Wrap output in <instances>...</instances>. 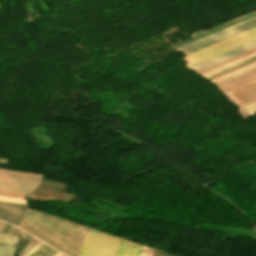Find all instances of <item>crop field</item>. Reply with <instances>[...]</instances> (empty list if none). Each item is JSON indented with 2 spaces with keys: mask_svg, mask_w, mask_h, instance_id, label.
Segmentation results:
<instances>
[{
  "mask_svg": "<svg viewBox=\"0 0 256 256\" xmlns=\"http://www.w3.org/2000/svg\"><path fill=\"white\" fill-rule=\"evenodd\" d=\"M20 228L69 256H77L89 230L30 210L27 211Z\"/></svg>",
  "mask_w": 256,
  "mask_h": 256,
  "instance_id": "8a807250",
  "label": "crop field"
},
{
  "mask_svg": "<svg viewBox=\"0 0 256 256\" xmlns=\"http://www.w3.org/2000/svg\"><path fill=\"white\" fill-rule=\"evenodd\" d=\"M121 239L91 230L78 256H114Z\"/></svg>",
  "mask_w": 256,
  "mask_h": 256,
  "instance_id": "ac0d7876",
  "label": "crop field"
},
{
  "mask_svg": "<svg viewBox=\"0 0 256 256\" xmlns=\"http://www.w3.org/2000/svg\"><path fill=\"white\" fill-rule=\"evenodd\" d=\"M256 26V16L249 18L247 20H244L240 23H237L235 25H232L230 27H227L223 30H220L218 32H215L211 35H208L204 38H201L197 41H194L192 43H189L187 45H184L180 48H177L176 50H179L186 55L195 52L199 49H202L204 47H207L211 44H214L216 42H219L221 40H224L226 38H229L233 35H236L238 33H241L243 31H246L248 29H251Z\"/></svg>",
  "mask_w": 256,
  "mask_h": 256,
  "instance_id": "34b2d1b8",
  "label": "crop field"
},
{
  "mask_svg": "<svg viewBox=\"0 0 256 256\" xmlns=\"http://www.w3.org/2000/svg\"><path fill=\"white\" fill-rule=\"evenodd\" d=\"M41 181V175L0 169V188L31 193Z\"/></svg>",
  "mask_w": 256,
  "mask_h": 256,
  "instance_id": "412701ff",
  "label": "crop field"
},
{
  "mask_svg": "<svg viewBox=\"0 0 256 256\" xmlns=\"http://www.w3.org/2000/svg\"><path fill=\"white\" fill-rule=\"evenodd\" d=\"M250 115L256 113V81L227 92Z\"/></svg>",
  "mask_w": 256,
  "mask_h": 256,
  "instance_id": "f4fd0767",
  "label": "crop field"
},
{
  "mask_svg": "<svg viewBox=\"0 0 256 256\" xmlns=\"http://www.w3.org/2000/svg\"><path fill=\"white\" fill-rule=\"evenodd\" d=\"M255 34H256V28H253V29L248 30V31H246V32H244V33H241V34L236 35V36H234V37H231V38H229V39H227V40H224V41L219 42V43H217V44H214V45H212V46H210V47H207V48L202 49V50H200V51H197V52H195V53H193V54H190V55L184 57V59H185L186 61H191V60H193V59H196V58H198V57H201V56H203V55H206V54H208V53H211V52H213V51H215V50H218V49H220V48H223V47H225V46H228V45H230V44H233V43H235V42H238V41H240V40H243V39H245V38H248V37H250V36H253V35H255Z\"/></svg>",
  "mask_w": 256,
  "mask_h": 256,
  "instance_id": "dd49c442",
  "label": "crop field"
},
{
  "mask_svg": "<svg viewBox=\"0 0 256 256\" xmlns=\"http://www.w3.org/2000/svg\"><path fill=\"white\" fill-rule=\"evenodd\" d=\"M26 207L0 203V219L18 226Z\"/></svg>",
  "mask_w": 256,
  "mask_h": 256,
  "instance_id": "e52e79f7",
  "label": "crop field"
},
{
  "mask_svg": "<svg viewBox=\"0 0 256 256\" xmlns=\"http://www.w3.org/2000/svg\"><path fill=\"white\" fill-rule=\"evenodd\" d=\"M255 46H256V41L253 42V43H250V44H248V45H246V46H243V47H241V48H238V49H236V50H233V51H231V52H228V53H226V54H223V55H221V56H218V57H216V58H213V59H211V60H208V61H206V62H203V63H201V64H198V65H196V66H193V67H191V68H192L193 70L197 71V70H199V69H202V68H204V67H206V66H209V65H211V64H214V63H216V62H219V61H221V60H223V59H226V58H228V57H231V56H233V55H236V54H238V53H240V52H243V51L248 50V49H250V48H253V47H255Z\"/></svg>",
  "mask_w": 256,
  "mask_h": 256,
  "instance_id": "d8731c3e",
  "label": "crop field"
},
{
  "mask_svg": "<svg viewBox=\"0 0 256 256\" xmlns=\"http://www.w3.org/2000/svg\"><path fill=\"white\" fill-rule=\"evenodd\" d=\"M255 40H256V36H253V37L248 38V39H246V40H244V41H241V42H239V43H236V44H234V45H231V46H229V47H226V48H224V49H222V50H219V51H217V52H214V53H212V54H209V55H207V56H204V57H202V58H200V59H197V60L192 61V62H190V63H186V65H188L189 67H191V66L196 65V64H198V63H201V62H203V61H206V60H208V59H211V58H213V57H216V56H218V55H221V54H223V53H226V52H228V51H231V50H233V49H236V48H238V47H241V46H243V45H246V44H248V43H250V42H253V41H255Z\"/></svg>",
  "mask_w": 256,
  "mask_h": 256,
  "instance_id": "5a996713",
  "label": "crop field"
},
{
  "mask_svg": "<svg viewBox=\"0 0 256 256\" xmlns=\"http://www.w3.org/2000/svg\"><path fill=\"white\" fill-rule=\"evenodd\" d=\"M142 248V246L122 240L115 256H139Z\"/></svg>",
  "mask_w": 256,
  "mask_h": 256,
  "instance_id": "3316defc",
  "label": "crop field"
},
{
  "mask_svg": "<svg viewBox=\"0 0 256 256\" xmlns=\"http://www.w3.org/2000/svg\"><path fill=\"white\" fill-rule=\"evenodd\" d=\"M255 79H256V72H255V73H252V74H250V75H247V76H245V77H243V78H240V79H238V80H235V81H233V82H231V83H228V84H226V85H223V86L219 87V89H220L223 93H225V92H227V91H229V90H231V89H234V88H236V87H239V86H241V85H243V84H246V83H248V82H251V81H253V80H255Z\"/></svg>",
  "mask_w": 256,
  "mask_h": 256,
  "instance_id": "28ad6ade",
  "label": "crop field"
},
{
  "mask_svg": "<svg viewBox=\"0 0 256 256\" xmlns=\"http://www.w3.org/2000/svg\"><path fill=\"white\" fill-rule=\"evenodd\" d=\"M254 51H256V47L253 48V49H250V50H248V51H245V52H243V53H240V54H238V55H236V56H233V57H231V58H228V59H226V60H223V61H221V62H219V63H216V64H214V65H211V66H209V67H206V68H204V69H202V70H199V71H197V72H198L199 74H201V73H203V72H206V71H208V70H210V69H213V68H215V67H218V66H220V65H222V64H225V63H227V62H230V61H232V60H235V59H237V58H239V57H242V56L247 55V54H249V53H252V52H254Z\"/></svg>",
  "mask_w": 256,
  "mask_h": 256,
  "instance_id": "d1516ede",
  "label": "crop field"
},
{
  "mask_svg": "<svg viewBox=\"0 0 256 256\" xmlns=\"http://www.w3.org/2000/svg\"><path fill=\"white\" fill-rule=\"evenodd\" d=\"M30 243L27 245V247L18 255V256H23L24 254H26L29 250H31L36 244H38L40 241H38L36 238H32L30 241ZM42 242H40L38 245H36L31 251H29L26 255L24 256H28L32 251H34L39 245H41ZM40 247V246H39Z\"/></svg>",
  "mask_w": 256,
  "mask_h": 256,
  "instance_id": "22f410ed",
  "label": "crop field"
},
{
  "mask_svg": "<svg viewBox=\"0 0 256 256\" xmlns=\"http://www.w3.org/2000/svg\"><path fill=\"white\" fill-rule=\"evenodd\" d=\"M0 195H1V196H8V197H15V198L24 199V198H25L26 196H28L29 194L0 189Z\"/></svg>",
  "mask_w": 256,
  "mask_h": 256,
  "instance_id": "cbeb9de0",
  "label": "crop field"
},
{
  "mask_svg": "<svg viewBox=\"0 0 256 256\" xmlns=\"http://www.w3.org/2000/svg\"><path fill=\"white\" fill-rule=\"evenodd\" d=\"M253 66H256V62H254V63H252V64H249V65H247V66H244V67H242V68H239V69H237V70H234V71H232V72H229V73H227V74H224V75H222V76H220V77H217V78H215V79H212V80H210V81L216 82V81H218V80H221V79H223V78H226V77H228V76H231V75H233V74H236V73H238V72H241V71L246 70V69H248V68H251V67H253Z\"/></svg>",
  "mask_w": 256,
  "mask_h": 256,
  "instance_id": "5142ce71",
  "label": "crop field"
},
{
  "mask_svg": "<svg viewBox=\"0 0 256 256\" xmlns=\"http://www.w3.org/2000/svg\"><path fill=\"white\" fill-rule=\"evenodd\" d=\"M254 55H256V52H254V53H252V54H249V55H247V56H244V57H242V58H239V59H237V60H235V61H232V62H230V63H227V64H225V65H222V66H220V67H218V68H215V69H213V70H210V71H208V72H206V73H203V74H201V75L205 76V75H207V74H210V73H212V72H215V71H217V70H219V69H222V68H224V67H227V66H229V65H232V64H234V63H237V62H239V61H242V60L247 59V58H249V57H251V56H254Z\"/></svg>",
  "mask_w": 256,
  "mask_h": 256,
  "instance_id": "d9b57169",
  "label": "crop field"
},
{
  "mask_svg": "<svg viewBox=\"0 0 256 256\" xmlns=\"http://www.w3.org/2000/svg\"><path fill=\"white\" fill-rule=\"evenodd\" d=\"M254 58H256V56L251 57V58H249V59H247V60H244V61H242V62H239V63H237V64H234V65H232V66H229V67H227V68H224V69H222V70H219V71H217V72H215V73H212V74H210V75H207V76H205V78H207V77H209V76H212V75H214V74H217V73H219V72H222V71H224V70H227V69H229V68H231V67H234V66H236V65H239V64H241V63H244V62H246V61H249V60H251V59H254Z\"/></svg>",
  "mask_w": 256,
  "mask_h": 256,
  "instance_id": "733c2abd",
  "label": "crop field"
},
{
  "mask_svg": "<svg viewBox=\"0 0 256 256\" xmlns=\"http://www.w3.org/2000/svg\"><path fill=\"white\" fill-rule=\"evenodd\" d=\"M0 200L25 204L24 200H21V199H14V198H8V197H1L0 196Z\"/></svg>",
  "mask_w": 256,
  "mask_h": 256,
  "instance_id": "4a817a6b",
  "label": "crop field"
},
{
  "mask_svg": "<svg viewBox=\"0 0 256 256\" xmlns=\"http://www.w3.org/2000/svg\"><path fill=\"white\" fill-rule=\"evenodd\" d=\"M254 70H256V68H255V69H252V70H250V71H247V72H245V73H242V74H240V75H238V76H235V77H233V78H230V79H228V80H225V81H223V82H220V83H218V86H220V85H222V84H224V83H227V82H229V81H231V80H234V79H236V78H238V77H240V76H243V75H245V74H247V73H250V72H252V71H254Z\"/></svg>",
  "mask_w": 256,
  "mask_h": 256,
  "instance_id": "bc2a9ffb",
  "label": "crop field"
},
{
  "mask_svg": "<svg viewBox=\"0 0 256 256\" xmlns=\"http://www.w3.org/2000/svg\"><path fill=\"white\" fill-rule=\"evenodd\" d=\"M152 251H153L152 249H148V248L144 247L142 252H141V254H140V256H150Z\"/></svg>",
  "mask_w": 256,
  "mask_h": 256,
  "instance_id": "214f88e0",
  "label": "crop field"
},
{
  "mask_svg": "<svg viewBox=\"0 0 256 256\" xmlns=\"http://www.w3.org/2000/svg\"><path fill=\"white\" fill-rule=\"evenodd\" d=\"M151 256H172V255H168V254H165V253L158 252V251L154 250Z\"/></svg>",
  "mask_w": 256,
  "mask_h": 256,
  "instance_id": "92a150f3",
  "label": "crop field"
},
{
  "mask_svg": "<svg viewBox=\"0 0 256 256\" xmlns=\"http://www.w3.org/2000/svg\"><path fill=\"white\" fill-rule=\"evenodd\" d=\"M17 228H18V227H17ZM17 228L12 227V230H11V233H10V234L18 235V236H19V234H18V229H17Z\"/></svg>",
  "mask_w": 256,
  "mask_h": 256,
  "instance_id": "dafd665d",
  "label": "crop field"
},
{
  "mask_svg": "<svg viewBox=\"0 0 256 256\" xmlns=\"http://www.w3.org/2000/svg\"><path fill=\"white\" fill-rule=\"evenodd\" d=\"M4 222H2V221H0V233L2 232V229H3V227H4Z\"/></svg>",
  "mask_w": 256,
  "mask_h": 256,
  "instance_id": "00972430",
  "label": "crop field"
},
{
  "mask_svg": "<svg viewBox=\"0 0 256 256\" xmlns=\"http://www.w3.org/2000/svg\"><path fill=\"white\" fill-rule=\"evenodd\" d=\"M20 234H21V238L24 239L25 232H23L22 230H20Z\"/></svg>",
  "mask_w": 256,
  "mask_h": 256,
  "instance_id": "a9b5d70f",
  "label": "crop field"
},
{
  "mask_svg": "<svg viewBox=\"0 0 256 256\" xmlns=\"http://www.w3.org/2000/svg\"><path fill=\"white\" fill-rule=\"evenodd\" d=\"M18 238H19V237H17V236H16L12 244H14V245H15V244H16V242H17V240H18Z\"/></svg>",
  "mask_w": 256,
  "mask_h": 256,
  "instance_id": "4177f3b9",
  "label": "crop field"
},
{
  "mask_svg": "<svg viewBox=\"0 0 256 256\" xmlns=\"http://www.w3.org/2000/svg\"><path fill=\"white\" fill-rule=\"evenodd\" d=\"M0 202H3V201H0ZM4 203H10V202H4ZM10 204H16V203H10ZM17 205H22V204H17ZM23 206H26V205H23Z\"/></svg>",
  "mask_w": 256,
  "mask_h": 256,
  "instance_id": "730fd06b",
  "label": "crop field"
},
{
  "mask_svg": "<svg viewBox=\"0 0 256 256\" xmlns=\"http://www.w3.org/2000/svg\"><path fill=\"white\" fill-rule=\"evenodd\" d=\"M36 256H42V255L38 253Z\"/></svg>",
  "mask_w": 256,
  "mask_h": 256,
  "instance_id": "eef30255",
  "label": "crop field"
},
{
  "mask_svg": "<svg viewBox=\"0 0 256 256\" xmlns=\"http://www.w3.org/2000/svg\"><path fill=\"white\" fill-rule=\"evenodd\" d=\"M64 256V255H63Z\"/></svg>",
  "mask_w": 256,
  "mask_h": 256,
  "instance_id": "ae1a2a85",
  "label": "crop field"
}]
</instances>
